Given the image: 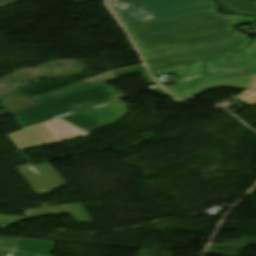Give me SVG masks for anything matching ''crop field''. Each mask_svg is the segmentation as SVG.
Wrapping results in <instances>:
<instances>
[{"label": "crop field", "mask_w": 256, "mask_h": 256, "mask_svg": "<svg viewBox=\"0 0 256 256\" xmlns=\"http://www.w3.org/2000/svg\"><path fill=\"white\" fill-rule=\"evenodd\" d=\"M255 32H256V27H255Z\"/></svg>", "instance_id": "obj_12"}, {"label": "crop field", "mask_w": 256, "mask_h": 256, "mask_svg": "<svg viewBox=\"0 0 256 256\" xmlns=\"http://www.w3.org/2000/svg\"><path fill=\"white\" fill-rule=\"evenodd\" d=\"M155 76L175 74L184 81L164 86L173 96L184 101L207 89L228 87L246 89L256 74V38L244 51L188 64L152 71ZM203 75L202 77H189Z\"/></svg>", "instance_id": "obj_2"}, {"label": "crop field", "mask_w": 256, "mask_h": 256, "mask_svg": "<svg viewBox=\"0 0 256 256\" xmlns=\"http://www.w3.org/2000/svg\"><path fill=\"white\" fill-rule=\"evenodd\" d=\"M256 1V0H255Z\"/></svg>", "instance_id": "obj_13"}, {"label": "crop field", "mask_w": 256, "mask_h": 256, "mask_svg": "<svg viewBox=\"0 0 256 256\" xmlns=\"http://www.w3.org/2000/svg\"><path fill=\"white\" fill-rule=\"evenodd\" d=\"M125 97L103 84L13 115L21 128Z\"/></svg>", "instance_id": "obj_3"}, {"label": "crop field", "mask_w": 256, "mask_h": 256, "mask_svg": "<svg viewBox=\"0 0 256 256\" xmlns=\"http://www.w3.org/2000/svg\"><path fill=\"white\" fill-rule=\"evenodd\" d=\"M127 2L131 8L114 11L124 28L215 8L211 0H127Z\"/></svg>", "instance_id": "obj_4"}, {"label": "crop field", "mask_w": 256, "mask_h": 256, "mask_svg": "<svg viewBox=\"0 0 256 256\" xmlns=\"http://www.w3.org/2000/svg\"><path fill=\"white\" fill-rule=\"evenodd\" d=\"M126 104L116 101L100 105L64 118H61L76 127L88 132L106 123L112 124L127 112Z\"/></svg>", "instance_id": "obj_6"}, {"label": "crop field", "mask_w": 256, "mask_h": 256, "mask_svg": "<svg viewBox=\"0 0 256 256\" xmlns=\"http://www.w3.org/2000/svg\"><path fill=\"white\" fill-rule=\"evenodd\" d=\"M255 93V92H254ZM253 94V93H252ZM251 95V94H250ZM247 96H249V95H247ZM247 96H245V97H247ZM245 97H243V98H245ZM243 98H241V99H243Z\"/></svg>", "instance_id": "obj_11"}, {"label": "crop field", "mask_w": 256, "mask_h": 256, "mask_svg": "<svg viewBox=\"0 0 256 256\" xmlns=\"http://www.w3.org/2000/svg\"><path fill=\"white\" fill-rule=\"evenodd\" d=\"M114 79H116V77L113 76L111 73H108V75H106V76H103V77H100L97 79H93V80H90L87 82H80V83H77V84H74V85H71V86L38 96V97H35L32 99L35 100L36 102L42 104V103L72 94V93H76V92L106 83V82L114 80Z\"/></svg>", "instance_id": "obj_9"}, {"label": "crop field", "mask_w": 256, "mask_h": 256, "mask_svg": "<svg viewBox=\"0 0 256 256\" xmlns=\"http://www.w3.org/2000/svg\"><path fill=\"white\" fill-rule=\"evenodd\" d=\"M88 135L73 125L58 119L9 134L21 150Z\"/></svg>", "instance_id": "obj_5"}, {"label": "crop field", "mask_w": 256, "mask_h": 256, "mask_svg": "<svg viewBox=\"0 0 256 256\" xmlns=\"http://www.w3.org/2000/svg\"><path fill=\"white\" fill-rule=\"evenodd\" d=\"M15 238L0 237V256L12 253ZM55 242L18 239L15 256H51Z\"/></svg>", "instance_id": "obj_8"}, {"label": "crop field", "mask_w": 256, "mask_h": 256, "mask_svg": "<svg viewBox=\"0 0 256 256\" xmlns=\"http://www.w3.org/2000/svg\"><path fill=\"white\" fill-rule=\"evenodd\" d=\"M18 169L38 196L66 185L49 163L35 166L28 163Z\"/></svg>", "instance_id": "obj_7"}, {"label": "crop field", "mask_w": 256, "mask_h": 256, "mask_svg": "<svg viewBox=\"0 0 256 256\" xmlns=\"http://www.w3.org/2000/svg\"><path fill=\"white\" fill-rule=\"evenodd\" d=\"M256 20L216 9L128 28L151 70L237 52L250 38L233 24ZM145 35H149L146 37Z\"/></svg>", "instance_id": "obj_1"}, {"label": "crop field", "mask_w": 256, "mask_h": 256, "mask_svg": "<svg viewBox=\"0 0 256 256\" xmlns=\"http://www.w3.org/2000/svg\"><path fill=\"white\" fill-rule=\"evenodd\" d=\"M222 4L234 11L256 14V2L254 0H220Z\"/></svg>", "instance_id": "obj_10"}]
</instances>
